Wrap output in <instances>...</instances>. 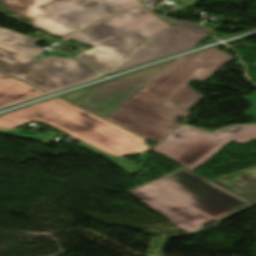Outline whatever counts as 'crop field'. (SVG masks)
<instances>
[{"mask_svg":"<svg viewBox=\"0 0 256 256\" xmlns=\"http://www.w3.org/2000/svg\"><path fill=\"white\" fill-rule=\"evenodd\" d=\"M137 5L139 0H44L26 8L69 28L63 37Z\"/></svg>","mask_w":256,"mask_h":256,"instance_id":"crop-field-8","label":"crop field"},{"mask_svg":"<svg viewBox=\"0 0 256 256\" xmlns=\"http://www.w3.org/2000/svg\"><path fill=\"white\" fill-rule=\"evenodd\" d=\"M18 42H23L19 45ZM39 41L0 28V71L25 80L47 92L94 78L98 73L74 59L48 57L33 59L44 50Z\"/></svg>","mask_w":256,"mask_h":256,"instance_id":"crop-field-4","label":"crop field"},{"mask_svg":"<svg viewBox=\"0 0 256 256\" xmlns=\"http://www.w3.org/2000/svg\"><path fill=\"white\" fill-rule=\"evenodd\" d=\"M170 26L139 7L63 40L94 47L75 57L107 74L120 67ZM132 44H128L129 42ZM134 44L142 46L133 47Z\"/></svg>","mask_w":256,"mask_h":256,"instance_id":"crop-field-3","label":"crop field"},{"mask_svg":"<svg viewBox=\"0 0 256 256\" xmlns=\"http://www.w3.org/2000/svg\"><path fill=\"white\" fill-rule=\"evenodd\" d=\"M246 173H248L249 175L256 178V169H250V170L246 171Z\"/></svg>","mask_w":256,"mask_h":256,"instance_id":"crop-field-21","label":"crop field"},{"mask_svg":"<svg viewBox=\"0 0 256 256\" xmlns=\"http://www.w3.org/2000/svg\"><path fill=\"white\" fill-rule=\"evenodd\" d=\"M139 155L142 156L141 160L143 161V162L141 163V165L139 166L140 171H141L142 168H143V166H144V164H145V162H146V160H147V158H148V156H147L145 153H140Z\"/></svg>","mask_w":256,"mask_h":256,"instance_id":"crop-field-20","label":"crop field"},{"mask_svg":"<svg viewBox=\"0 0 256 256\" xmlns=\"http://www.w3.org/2000/svg\"><path fill=\"white\" fill-rule=\"evenodd\" d=\"M94 86H96V85H94ZM94 86L87 87V88H84V89H81V90H78V91H75V92H72V93H69V94H65V95H62V96H59V97L73 103L78 98H80L82 95H84L86 92H88L90 89H92Z\"/></svg>","mask_w":256,"mask_h":256,"instance_id":"crop-field-16","label":"crop field"},{"mask_svg":"<svg viewBox=\"0 0 256 256\" xmlns=\"http://www.w3.org/2000/svg\"><path fill=\"white\" fill-rule=\"evenodd\" d=\"M129 192L189 234L250 203L184 167Z\"/></svg>","mask_w":256,"mask_h":256,"instance_id":"crop-field-1","label":"crop field"},{"mask_svg":"<svg viewBox=\"0 0 256 256\" xmlns=\"http://www.w3.org/2000/svg\"><path fill=\"white\" fill-rule=\"evenodd\" d=\"M41 122L112 156L149 151L145 140L58 98L0 116V128Z\"/></svg>","mask_w":256,"mask_h":256,"instance_id":"crop-field-2","label":"crop field"},{"mask_svg":"<svg viewBox=\"0 0 256 256\" xmlns=\"http://www.w3.org/2000/svg\"><path fill=\"white\" fill-rule=\"evenodd\" d=\"M245 99L254 106L245 114L256 120V94ZM255 138L256 125L251 124L233 125L214 133L181 125L152 150L194 171L229 141L242 144Z\"/></svg>","mask_w":256,"mask_h":256,"instance_id":"crop-field-5","label":"crop field"},{"mask_svg":"<svg viewBox=\"0 0 256 256\" xmlns=\"http://www.w3.org/2000/svg\"><path fill=\"white\" fill-rule=\"evenodd\" d=\"M177 1L179 3H182L188 7L192 6L194 3H196L198 0H174Z\"/></svg>","mask_w":256,"mask_h":256,"instance_id":"crop-field-19","label":"crop field"},{"mask_svg":"<svg viewBox=\"0 0 256 256\" xmlns=\"http://www.w3.org/2000/svg\"><path fill=\"white\" fill-rule=\"evenodd\" d=\"M114 164H116L117 166H119L121 169H123L124 171H126L128 174L132 175L134 173H137L138 170L136 168V166L123 161L121 158H117V159H113L111 160ZM111 162V163H112Z\"/></svg>","mask_w":256,"mask_h":256,"instance_id":"crop-field-15","label":"crop field"},{"mask_svg":"<svg viewBox=\"0 0 256 256\" xmlns=\"http://www.w3.org/2000/svg\"><path fill=\"white\" fill-rule=\"evenodd\" d=\"M175 26L181 27V28H185V29H189V30L198 31V32H203V33H207V34L211 33L206 28H203V27H200V26H196V25H192V24H186V23L177 22Z\"/></svg>","mask_w":256,"mask_h":256,"instance_id":"crop-field-17","label":"crop field"},{"mask_svg":"<svg viewBox=\"0 0 256 256\" xmlns=\"http://www.w3.org/2000/svg\"><path fill=\"white\" fill-rule=\"evenodd\" d=\"M77 145H79V146H81V147H83V148H85V149H87V150H89V151H91V152H93L95 154H98V155H100V156H102V157H104V158H106L108 160L113 159L112 157H110V156H108V155H106V154H104V153H102V152H100V151H98V150H96V149H94V148H92V147L82 143V142L78 143Z\"/></svg>","mask_w":256,"mask_h":256,"instance_id":"crop-field-18","label":"crop field"},{"mask_svg":"<svg viewBox=\"0 0 256 256\" xmlns=\"http://www.w3.org/2000/svg\"><path fill=\"white\" fill-rule=\"evenodd\" d=\"M45 93L24 82L0 74V106Z\"/></svg>","mask_w":256,"mask_h":256,"instance_id":"crop-field-12","label":"crop field"},{"mask_svg":"<svg viewBox=\"0 0 256 256\" xmlns=\"http://www.w3.org/2000/svg\"><path fill=\"white\" fill-rule=\"evenodd\" d=\"M0 133L15 136V137H20V138H25V139H29V140H34V141H38V142H43V143H47V144H50L51 141L57 135L56 133L48 132L47 135L36 134L35 136H33V135H29V134H25V133L13 131V130H9V131L0 130Z\"/></svg>","mask_w":256,"mask_h":256,"instance_id":"crop-field-14","label":"crop field"},{"mask_svg":"<svg viewBox=\"0 0 256 256\" xmlns=\"http://www.w3.org/2000/svg\"><path fill=\"white\" fill-rule=\"evenodd\" d=\"M39 1L42 0H2L1 7L11 11L21 18L30 19L33 22V27L40 28L59 37V33L68 29L50 19L24 8Z\"/></svg>","mask_w":256,"mask_h":256,"instance_id":"crop-field-11","label":"crop field"},{"mask_svg":"<svg viewBox=\"0 0 256 256\" xmlns=\"http://www.w3.org/2000/svg\"><path fill=\"white\" fill-rule=\"evenodd\" d=\"M207 35L177 27H170L165 33L123 64L115 72L194 47ZM160 59V58H159Z\"/></svg>","mask_w":256,"mask_h":256,"instance_id":"crop-field-10","label":"crop field"},{"mask_svg":"<svg viewBox=\"0 0 256 256\" xmlns=\"http://www.w3.org/2000/svg\"><path fill=\"white\" fill-rule=\"evenodd\" d=\"M178 59L139 70L98 85L74 104L106 119Z\"/></svg>","mask_w":256,"mask_h":256,"instance_id":"crop-field-9","label":"crop field"},{"mask_svg":"<svg viewBox=\"0 0 256 256\" xmlns=\"http://www.w3.org/2000/svg\"><path fill=\"white\" fill-rule=\"evenodd\" d=\"M230 59L214 48L184 56L144 89L188 110L203 98L189 88L190 81L204 82Z\"/></svg>","mask_w":256,"mask_h":256,"instance_id":"crop-field-6","label":"crop field"},{"mask_svg":"<svg viewBox=\"0 0 256 256\" xmlns=\"http://www.w3.org/2000/svg\"><path fill=\"white\" fill-rule=\"evenodd\" d=\"M192 114L142 89L107 120L157 142Z\"/></svg>","mask_w":256,"mask_h":256,"instance_id":"crop-field-7","label":"crop field"},{"mask_svg":"<svg viewBox=\"0 0 256 256\" xmlns=\"http://www.w3.org/2000/svg\"><path fill=\"white\" fill-rule=\"evenodd\" d=\"M220 178L231 184L227 188L256 201V179L241 171Z\"/></svg>","mask_w":256,"mask_h":256,"instance_id":"crop-field-13","label":"crop field"},{"mask_svg":"<svg viewBox=\"0 0 256 256\" xmlns=\"http://www.w3.org/2000/svg\"><path fill=\"white\" fill-rule=\"evenodd\" d=\"M148 1H151V0H143L144 3H145V2H148Z\"/></svg>","mask_w":256,"mask_h":256,"instance_id":"crop-field-23","label":"crop field"},{"mask_svg":"<svg viewBox=\"0 0 256 256\" xmlns=\"http://www.w3.org/2000/svg\"><path fill=\"white\" fill-rule=\"evenodd\" d=\"M162 19V18H161ZM164 21H166L167 23L173 25L176 23V21H172V20H166V19H163Z\"/></svg>","mask_w":256,"mask_h":256,"instance_id":"crop-field-22","label":"crop field"}]
</instances>
